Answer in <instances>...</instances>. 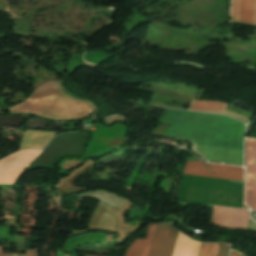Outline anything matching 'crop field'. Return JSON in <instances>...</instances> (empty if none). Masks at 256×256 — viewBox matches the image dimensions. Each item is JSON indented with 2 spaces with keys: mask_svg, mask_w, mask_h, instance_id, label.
<instances>
[{
  "mask_svg": "<svg viewBox=\"0 0 256 256\" xmlns=\"http://www.w3.org/2000/svg\"><path fill=\"white\" fill-rule=\"evenodd\" d=\"M160 121L172 124L162 134L164 136L243 150L245 125L226 116L167 109Z\"/></svg>",
  "mask_w": 256,
  "mask_h": 256,
  "instance_id": "obj_1",
  "label": "crop field"
},
{
  "mask_svg": "<svg viewBox=\"0 0 256 256\" xmlns=\"http://www.w3.org/2000/svg\"><path fill=\"white\" fill-rule=\"evenodd\" d=\"M93 110L92 103L65 94L59 82L53 80L40 85L25 102L9 112L32 113L51 120H72L88 116Z\"/></svg>",
  "mask_w": 256,
  "mask_h": 256,
  "instance_id": "obj_2",
  "label": "crop field"
},
{
  "mask_svg": "<svg viewBox=\"0 0 256 256\" xmlns=\"http://www.w3.org/2000/svg\"><path fill=\"white\" fill-rule=\"evenodd\" d=\"M184 174L242 181V168L187 161Z\"/></svg>",
  "mask_w": 256,
  "mask_h": 256,
  "instance_id": "obj_3",
  "label": "crop field"
},
{
  "mask_svg": "<svg viewBox=\"0 0 256 256\" xmlns=\"http://www.w3.org/2000/svg\"><path fill=\"white\" fill-rule=\"evenodd\" d=\"M177 234L171 223L157 224L148 256H172Z\"/></svg>",
  "mask_w": 256,
  "mask_h": 256,
  "instance_id": "obj_4",
  "label": "crop field"
},
{
  "mask_svg": "<svg viewBox=\"0 0 256 256\" xmlns=\"http://www.w3.org/2000/svg\"><path fill=\"white\" fill-rule=\"evenodd\" d=\"M210 223L222 228L247 229L248 212L213 206Z\"/></svg>",
  "mask_w": 256,
  "mask_h": 256,
  "instance_id": "obj_5",
  "label": "crop field"
},
{
  "mask_svg": "<svg viewBox=\"0 0 256 256\" xmlns=\"http://www.w3.org/2000/svg\"><path fill=\"white\" fill-rule=\"evenodd\" d=\"M246 192H253V198L245 203L256 210V140L247 139Z\"/></svg>",
  "mask_w": 256,
  "mask_h": 256,
  "instance_id": "obj_6",
  "label": "crop field"
},
{
  "mask_svg": "<svg viewBox=\"0 0 256 256\" xmlns=\"http://www.w3.org/2000/svg\"><path fill=\"white\" fill-rule=\"evenodd\" d=\"M239 3H240V0H232L231 21L236 22L237 20ZM252 5H253V0H241L237 22L249 24ZM250 24L256 25V0H254Z\"/></svg>",
  "mask_w": 256,
  "mask_h": 256,
  "instance_id": "obj_7",
  "label": "crop field"
},
{
  "mask_svg": "<svg viewBox=\"0 0 256 256\" xmlns=\"http://www.w3.org/2000/svg\"><path fill=\"white\" fill-rule=\"evenodd\" d=\"M226 106H227V104H224V103L193 100L189 110L228 114L230 116H233V117H236L238 119L248 122L249 117L242 116V115L236 114L234 112H231V111L225 109Z\"/></svg>",
  "mask_w": 256,
  "mask_h": 256,
  "instance_id": "obj_8",
  "label": "crop field"
},
{
  "mask_svg": "<svg viewBox=\"0 0 256 256\" xmlns=\"http://www.w3.org/2000/svg\"><path fill=\"white\" fill-rule=\"evenodd\" d=\"M155 224H150L147 229V236L143 240L135 239L129 246L125 256H147L150 247Z\"/></svg>",
  "mask_w": 256,
  "mask_h": 256,
  "instance_id": "obj_9",
  "label": "crop field"
},
{
  "mask_svg": "<svg viewBox=\"0 0 256 256\" xmlns=\"http://www.w3.org/2000/svg\"><path fill=\"white\" fill-rule=\"evenodd\" d=\"M219 244H201L198 256H216Z\"/></svg>",
  "mask_w": 256,
  "mask_h": 256,
  "instance_id": "obj_10",
  "label": "crop field"
},
{
  "mask_svg": "<svg viewBox=\"0 0 256 256\" xmlns=\"http://www.w3.org/2000/svg\"><path fill=\"white\" fill-rule=\"evenodd\" d=\"M25 256H31V250H27Z\"/></svg>",
  "mask_w": 256,
  "mask_h": 256,
  "instance_id": "obj_11",
  "label": "crop field"
},
{
  "mask_svg": "<svg viewBox=\"0 0 256 256\" xmlns=\"http://www.w3.org/2000/svg\"><path fill=\"white\" fill-rule=\"evenodd\" d=\"M0 256H10V254L2 255V250H1V247H0Z\"/></svg>",
  "mask_w": 256,
  "mask_h": 256,
  "instance_id": "obj_12",
  "label": "crop field"
},
{
  "mask_svg": "<svg viewBox=\"0 0 256 256\" xmlns=\"http://www.w3.org/2000/svg\"><path fill=\"white\" fill-rule=\"evenodd\" d=\"M232 256H241V255H239V254H237L236 252H232Z\"/></svg>",
  "mask_w": 256,
  "mask_h": 256,
  "instance_id": "obj_13",
  "label": "crop field"
},
{
  "mask_svg": "<svg viewBox=\"0 0 256 256\" xmlns=\"http://www.w3.org/2000/svg\"><path fill=\"white\" fill-rule=\"evenodd\" d=\"M18 256H24V254H18Z\"/></svg>",
  "mask_w": 256,
  "mask_h": 256,
  "instance_id": "obj_14",
  "label": "crop field"
},
{
  "mask_svg": "<svg viewBox=\"0 0 256 256\" xmlns=\"http://www.w3.org/2000/svg\"><path fill=\"white\" fill-rule=\"evenodd\" d=\"M85 256H90V255H85Z\"/></svg>",
  "mask_w": 256,
  "mask_h": 256,
  "instance_id": "obj_15",
  "label": "crop field"
},
{
  "mask_svg": "<svg viewBox=\"0 0 256 256\" xmlns=\"http://www.w3.org/2000/svg\"><path fill=\"white\" fill-rule=\"evenodd\" d=\"M234 182H236V181H234ZM240 183H242V182H240Z\"/></svg>",
  "mask_w": 256,
  "mask_h": 256,
  "instance_id": "obj_16",
  "label": "crop field"
}]
</instances>
